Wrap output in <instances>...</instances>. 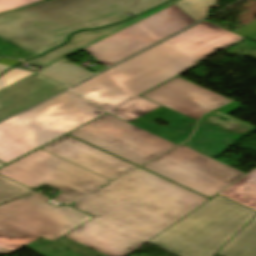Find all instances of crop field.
I'll use <instances>...</instances> for the list:
<instances>
[{
    "label": "crop field",
    "instance_id": "1",
    "mask_svg": "<svg viewBox=\"0 0 256 256\" xmlns=\"http://www.w3.org/2000/svg\"><path fill=\"white\" fill-rule=\"evenodd\" d=\"M243 38L204 21L71 90L108 114L178 144L197 122L138 95ZM154 119L169 125L157 126Z\"/></svg>",
    "mask_w": 256,
    "mask_h": 256
},
{
    "label": "crop field",
    "instance_id": "2",
    "mask_svg": "<svg viewBox=\"0 0 256 256\" xmlns=\"http://www.w3.org/2000/svg\"><path fill=\"white\" fill-rule=\"evenodd\" d=\"M207 200L138 168L73 202L93 216L150 239Z\"/></svg>",
    "mask_w": 256,
    "mask_h": 256
},
{
    "label": "crop field",
    "instance_id": "3",
    "mask_svg": "<svg viewBox=\"0 0 256 256\" xmlns=\"http://www.w3.org/2000/svg\"><path fill=\"white\" fill-rule=\"evenodd\" d=\"M125 12L136 15L143 11L120 0H84L0 25V38L37 55L74 31L125 20Z\"/></svg>",
    "mask_w": 256,
    "mask_h": 256
},
{
    "label": "crop field",
    "instance_id": "4",
    "mask_svg": "<svg viewBox=\"0 0 256 256\" xmlns=\"http://www.w3.org/2000/svg\"><path fill=\"white\" fill-rule=\"evenodd\" d=\"M87 102L68 90L1 123L0 160L7 164L105 113Z\"/></svg>",
    "mask_w": 256,
    "mask_h": 256
},
{
    "label": "crop field",
    "instance_id": "5",
    "mask_svg": "<svg viewBox=\"0 0 256 256\" xmlns=\"http://www.w3.org/2000/svg\"><path fill=\"white\" fill-rule=\"evenodd\" d=\"M256 212L217 196L148 243L179 256H212Z\"/></svg>",
    "mask_w": 256,
    "mask_h": 256
},
{
    "label": "crop field",
    "instance_id": "6",
    "mask_svg": "<svg viewBox=\"0 0 256 256\" xmlns=\"http://www.w3.org/2000/svg\"><path fill=\"white\" fill-rule=\"evenodd\" d=\"M39 193L0 205V254H11L42 236L54 242L92 217L69 206L53 207Z\"/></svg>",
    "mask_w": 256,
    "mask_h": 256
},
{
    "label": "crop field",
    "instance_id": "7",
    "mask_svg": "<svg viewBox=\"0 0 256 256\" xmlns=\"http://www.w3.org/2000/svg\"><path fill=\"white\" fill-rule=\"evenodd\" d=\"M0 175L31 189L43 184L63 193L54 197L69 202L109 180L41 149L0 170Z\"/></svg>",
    "mask_w": 256,
    "mask_h": 256
},
{
    "label": "crop field",
    "instance_id": "8",
    "mask_svg": "<svg viewBox=\"0 0 256 256\" xmlns=\"http://www.w3.org/2000/svg\"><path fill=\"white\" fill-rule=\"evenodd\" d=\"M142 167L209 198L246 174L183 145Z\"/></svg>",
    "mask_w": 256,
    "mask_h": 256
},
{
    "label": "crop field",
    "instance_id": "9",
    "mask_svg": "<svg viewBox=\"0 0 256 256\" xmlns=\"http://www.w3.org/2000/svg\"><path fill=\"white\" fill-rule=\"evenodd\" d=\"M193 23L195 21L174 4L85 50L109 67Z\"/></svg>",
    "mask_w": 256,
    "mask_h": 256
},
{
    "label": "crop field",
    "instance_id": "10",
    "mask_svg": "<svg viewBox=\"0 0 256 256\" xmlns=\"http://www.w3.org/2000/svg\"><path fill=\"white\" fill-rule=\"evenodd\" d=\"M69 134L137 165L176 145L108 114Z\"/></svg>",
    "mask_w": 256,
    "mask_h": 256
},
{
    "label": "crop field",
    "instance_id": "11",
    "mask_svg": "<svg viewBox=\"0 0 256 256\" xmlns=\"http://www.w3.org/2000/svg\"><path fill=\"white\" fill-rule=\"evenodd\" d=\"M240 107L233 101L202 116L193 139L183 145L212 158L216 157L256 129L255 126L228 115Z\"/></svg>",
    "mask_w": 256,
    "mask_h": 256
},
{
    "label": "crop field",
    "instance_id": "12",
    "mask_svg": "<svg viewBox=\"0 0 256 256\" xmlns=\"http://www.w3.org/2000/svg\"><path fill=\"white\" fill-rule=\"evenodd\" d=\"M142 96L196 120L203 113L230 101L179 77Z\"/></svg>",
    "mask_w": 256,
    "mask_h": 256
},
{
    "label": "crop field",
    "instance_id": "13",
    "mask_svg": "<svg viewBox=\"0 0 256 256\" xmlns=\"http://www.w3.org/2000/svg\"><path fill=\"white\" fill-rule=\"evenodd\" d=\"M41 149L109 180L136 167L68 135Z\"/></svg>",
    "mask_w": 256,
    "mask_h": 256
},
{
    "label": "crop field",
    "instance_id": "14",
    "mask_svg": "<svg viewBox=\"0 0 256 256\" xmlns=\"http://www.w3.org/2000/svg\"><path fill=\"white\" fill-rule=\"evenodd\" d=\"M64 236L109 256H124L148 241L97 217Z\"/></svg>",
    "mask_w": 256,
    "mask_h": 256
},
{
    "label": "crop field",
    "instance_id": "15",
    "mask_svg": "<svg viewBox=\"0 0 256 256\" xmlns=\"http://www.w3.org/2000/svg\"><path fill=\"white\" fill-rule=\"evenodd\" d=\"M65 87L35 73L0 90V120L18 113Z\"/></svg>",
    "mask_w": 256,
    "mask_h": 256
},
{
    "label": "crop field",
    "instance_id": "16",
    "mask_svg": "<svg viewBox=\"0 0 256 256\" xmlns=\"http://www.w3.org/2000/svg\"><path fill=\"white\" fill-rule=\"evenodd\" d=\"M179 0H174L168 4H165L153 11H150L138 18H135L131 21H128L126 23H123V24H120V25H116V26H113V27H110V28H106V29H102V30H97V31H86V32H81V33H78L74 36H72V39L70 41L69 44L65 45V46H62L42 57H39V58H35V59H32L30 61H27L28 63H32V64H35V65H39V66H48L62 58H65L71 54H73L74 52L134 23V22H137L175 2H177Z\"/></svg>",
    "mask_w": 256,
    "mask_h": 256
},
{
    "label": "crop field",
    "instance_id": "17",
    "mask_svg": "<svg viewBox=\"0 0 256 256\" xmlns=\"http://www.w3.org/2000/svg\"><path fill=\"white\" fill-rule=\"evenodd\" d=\"M216 253L222 256H256V216L249 220Z\"/></svg>",
    "mask_w": 256,
    "mask_h": 256
},
{
    "label": "crop field",
    "instance_id": "18",
    "mask_svg": "<svg viewBox=\"0 0 256 256\" xmlns=\"http://www.w3.org/2000/svg\"><path fill=\"white\" fill-rule=\"evenodd\" d=\"M40 73L70 87L79 81L94 75L93 73L62 59L46 68Z\"/></svg>",
    "mask_w": 256,
    "mask_h": 256
},
{
    "label": "crop field",
    "instance_id": "19",
    "mask_svg": "<svg viewBox=\"0 0 256 256\" xmlns=\"http://www.w3.org/2000/svg\"><path fill=\"white\" fill-rule=\"evenodd\" d=\"M81 0H48L22 9L0 15V24L68 5Z\"/></svg>",
    "mask_w": 256,
    "mask_h": 256
},
{
    "label": "crop field",
    "instance_id": "20",
    "mask_svg": "<svg viewBox=\"0 0 256 256\" xmlns=\"http://www.w3.org/2000/svg\"><path fill=\"white\" fill-rule=\"evenodd\" d=\"M218 0H182L176 3L196 22L206 17V11Z\"/></svg>",
    "mask_w": 256,
    "mask_h": 256
},
{
    "label": "crop field",
    "instance_id": "21",
    "mask_svg": "<svg viewBox=\"0 0 256 256\" xmlns=\"http://www.w3.org/2000/svg\"><path fill=\"white\" fill-rule=\"evenodd\" d=\"M218 194L256 210L255 192L247 191L231 185Z\"/></svg>",
    "mask_w": 256,
    "mask_h": 256
},
{
    "label": "crop field",
    "instance_id": "22",
    "mask_svg": "<svg viewBox=\"0 0 256 256\" xmlns=\"http://www.w3.org/2000/svg\"><path fill=\"white\" fill-rule=\"evenodd\" d=\"M4 164L0 162V167ZM33 190L0 176V203Z\"/></svg>",
    "mask_w": 256,
    "mask_h": 256
},
{
    "label": "crop field",
    "instance_id": "23",
    "mask_svg": "<svg viewBox=\"0 0 256 256\" xmlns=\"http://www.w3.org/2000/svg\"><path fill=\"white\" fill-rule=\"evenodd\" d=\"M33 73L35 72L14 68L0 77V89Z\"/></svg>",
    "mask_w": 256,
    "mask_h": 256
},
{
    "label": "crop field",
    "instance_id": "24",
    "mask_svg": "<svg viewBox=\"0 0 256 256\" xmlns=\"http://www.w3.org/2000/svg\"><path fill=\"white\" fill-rule=\"evenodd\" d=\"M42 0H0V13Z\"/></svg>",
    "mask_w": 256,
    "mask_h": 256
},
{
    "label": "crop field",
    "instance_id": "25",
    "mask_svg": "<svg viewBox=\"0 0 256 256\" xmlns=\"http://www.w3.org/2000/svg\"><path fill=\"white\" fill-rule=\"evenodd\" d=\"M233 185L256 192V169L235 182Z\"/></svg>",
    "mask_w": 256,
    "mask_h": 256
},
{
    "label": "crop field",
    "instance_id": "26",
    "mask_svg": "<svg viewBox=\"0 0 256 256\" xmlns=\"http://www.w3.org/2000/svg\"><path fill=\"white\" fill-rule=\"evenodd\" d=\"M233 32L248 38V37L256 34V21H254V22H252V23H250V24H248V25H246L242 28H239V29H237Z\"/></svg>",
    "mask_w": 256,
    "mask_h": 256
},
{
    "label": "crop field",
    "instance_id": "27",
    "mask_svg": "<svg viewBox=\"0 0 256 256\" xmlns=\"http://www.w3.org/2000/svg\"><path fill=\"white\" fill-rule=\"evenodd\" d=\"M165 1H167V0H148V1H146V2H144L142 4H139V5L135 6V7L139 8V9H141L143 11H146V10H148V9H150V8L156 6V5H159V4H161V3L165 2Z\"/></svg>",
    "mask_w": 256,
    "mask_h": 256
},
{
    "label": "crop field",
    "instance_id": "28",
    "mask_svg": "<svg viewBox=\"0 0 256 256\" xmlns=\"http://www.w3.org/2000/svg\"><path fill=\"white\" fill-rule=\"evenodd\" d=\"M0 63L13 66V65L19 63V61L7 59V58H0Z\"/></svg>",
    "mask_w": 256,
    "mask_h": 256
},
{
    "label": "crop field",
    "instance_id": "29",
    "mask_svg": "<svg viewBox=\"0 0 256 256\" xmlns=\"http://www.w3.org/2000/svg\"><path fill=\"white\" fill-rule=\"evenodd\" d=\"M122 1L128 3V4L132 5V6H135V5H137V4L141 3V2H144L146 0H122Z\"/></svg>",
    "mask_w": 256,
    "mask_h": 256
},
{
    "label": "crop field",
    "instance_id": "30",
    "mask_svg": "<svg viewBox=\"0 0 256 256\" xmlns=\"http://www.w3.org/2000/svg\"><path fill=\"white\" fill-rule=\"evenodd\" d=\"M8 68H10V66L0 64V73H2L4 70H6Z\"/></svg>",
    "mask_w": 256,
    "mask_h": 256
}]
</instances>
